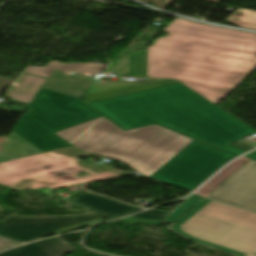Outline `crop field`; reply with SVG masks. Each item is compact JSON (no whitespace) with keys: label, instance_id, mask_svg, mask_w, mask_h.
Returning <instances> with one entry per match:
<instances>
[{"label":"crop field","instance_id":"8a807250","mask_svg":"<svg viewBox=\"0 0 256 256\" xmlns=\"http://www.w3.org/2000/svg\"><path fill=\"white\" fill-rule=\"evenodd\" d=\"M148 48V77L177 79L220 102L256 67V33L177 18Z\"/></svg>","mask_w":256,"mask_h":256},{"label":"crop field","instance_id":"ac0d7876","mask_svg":"<svg viewBox=\"0 0 256 256\" xmlns=\"http://www.w3.org/2000/svg\"><path fill=\"white\" fill-rule=\"evenodd\" d=\"M124 130L157 123L222 150L256 131L181 83L91 103Z\"/></svg>","mask_w":256,"mask_h":256},{"label":"crop field","instance_id":"34b2d1b8","mask_svg":"<svg viewBox=\"0 0 256 256\" xmlns=\"http://www.w3.org/2000/svg\"><path fill=\"white\" fill-rule=\"evenodd\" d=\"M190 141L157 125L125 132L105 118L73 146L125 161L149 177Z\"/></svg>","mask_w":256,"mask_h":256},{"label":"crop field","instance_id":"412701ff","mask_svg":"<svg viewBox=\"0 0 256 256\" xmlns=\"http://www.w3.org/2000/svg\"><path fill=\"white\" fill-rule=\"evenodd\" d=\"M198 244L237 256H256V213L202 200L169 227Z\"/></svg>","mask_w":256,"mask_h":256},{"label":"crop field","instance_id":"f4fd0767","mask_svg":"<svg viewBox=\"0 0 256 256\" xmlns=\"http://www.w3.org/2000/svg\"><path fill=\"white\" fill-rule=\"evenodd\" d=\"M28 147L4 144L0 149V184L12 188L49 187L58 189L102 178L118 176L111 172L96 174L77 165V159L52 152L43 153L12 131L10 134ZM81 170L93 175L78 178Z\"/></svg>","mask_w":256,"mask_h":256},{"label":"crop field","instance_id":"dd49c442","mask_svg":"<svg viewBox=\"0 0 256 256\" xmlns=\"http://www.w3.org/2000/svg\"><path fill=\"white\" fill-rule=\"evenodd\" d=\"M13 131L41 151L69 146L53 133L102 117L79 98L41 89Z\"/></svg>","mask_w":256,"mask_h":256},{"label":"crop field","instance_id":"e52e79f7","mask_svg":"<svg viewBox=\"0 0 256 256\" xmlns=\"http://www.w3.org/2000/svg\"><path fill=\"white\" fill-rule=\"evenodd\" d=\"M234 157L193 140L150 178L193 191Z\"/></svg>","mask_w":256,"mask_h":256},{"label":"crop field","instance_id":"d8731c3e","mask_svg":"<svg viewBox=\"0 0 256 256\" xmlns=\"http://www.w3.org/2000/svg\"><path fill=\"white\" fill-rule=\"evenodd\" d=\"M100 217L95 213L66 217H22L13 214L0 221V235L20 240L24 243L50 235L62 228L79 225Z\"/></svg>","mask_w":256,"mask_h":256},{"label":"crop field","instance_id":"5a996713","mask_svg":"<svg viewBox=\"0 0 256 256\" xmlns=\"http://www.w3.org/2000/svg\"><path fill=\"white\" fill-rule=\"evenodd\" d=\"M207 198L256 211V161L249 162Z\"/></svg>","mask_w":256,"mask_h":256},{"label":"crop field","instance_id":"3316defc","mask_svg":"<svg viewBox=\"0 0 256 256\" xmlns=\"http://www.w3.org/2000/svg\"><path fill=\"white\" fill-rule=\"evenodd\" d=\"M69 201L80 204L89 211L113 218L143 210L92 193L80 192Z\"/></svg>","mask_w":256,"mask_h":256},{"label":"crop field","instance_id":"28ad6ade","mask_svg":"<svg viewBox=\"0 0 256 256\" xmlns=\"http://www.w3.org/2000/svg\"><path fill=\"white\" fill-rule=\"evenodd\" d=\"M63 242L57 236L13 248L0 256H65L72 248Z\"/></svg>","mask_w":256,"mask_h":256},{"label":"crop field","instance_id":"d1516ede","mask_svg":"<svg viewBox=\"0 0 256 256\" xmlns=\"http://www.w3.org/2000/svg\"><path fill=\"white\" fill-rule=\"evenodd\" d=\"M106 72L114 75L147 76V49L131 52L121 59L115 60ZM105 72V73H106Z\"/></svg>","mask_w":256,"mask_h":256},{"label":"crop field","instance_id":"22f410ed","mask_svg":"<svg viewBox=\"0 0 256 256\" xmlns=\"http://www.w3.org/2000/svg\"><path fill=\"white\" fill-rule=\"evenodd\" d=\"M45 81V78L24 73L20 79L12 85L7 98L30 104Z\"/></svg>","mask_w":256,"mask_h":256},{"label":"crop field","instance_id":"cbeb9de0","mask_svg":"<svg viewBox=\"0 0 256 256\" xmlns=\"http://www.w3.org/2000/svg\"><path fill=\"white\" fill-rule=\"evenodd\" d=\"M106 65L93 64V63H72L64 64L61 62L51 61L45 67H30L26 73H30L36 76L48 78L54 69L66 70V71H78V72H92L101 73Z\"/></svg>","mask_w":256,"mask_h":256},{"label":"crop field","instance_id":"5142ce71","mask_svg":"<svg viewBox=\"0 0 256 256\" xmlns=\"http://www.w3.org/2000/svg\"><path fill=\"white\" fill-rule=\"evenodd\" d=\"M249 160L246 157H241L233 161L196 192L205 197Z\"/></svg>","mask_w":256,"mask_h":256},{"label":"crop field","instance_id":"d9b57169","mask_svg":"<svg viewBox=\"0 0 256 256\" xmlns=\"http://www.w3.org/2000/svg\"><path fill=\"white\" fill-rule=\"evenodd\" d=\"M48 81L88 91L92 83L94 82V79L81 75H78V77H76L72 75L67 76L52 72V74L48 78Z\"/></svg>","mask_w":256,"mask_h":256},{"label":"crop field","instance_id":"733c2abd","mask_svg":"<svg viewBox=\"0 0 256 256\" xmlns=\"http://www.w3.org/2000/svg\"><path fill=\"white\" fill-rule=\"evenodd\" d=\"M105 117L96 119L94 121L75 126L63 131L56 132L59 136L63 139L68 141L70 144H74L77 142L81 137H83L87 132H89L93 127H95L101 120Z\"/></svg>","mask_w":256,"mask_h":256},{"label":"crop field","instance_id":"4a817a6b","mask_svg":"<svg viewBox=\"0 0 256 256\" xmlns=\"http://www.w3.org/2000/svg\"><path fill=\"white\" fill-rule=\"evenodd\" d=\"M227 20L240 27L256 30V11L238 8Z\"/></svg>","mask_w":256,"mask_h":256},{"label":"crop field","instance_id":"bc2a9ffb","mask_svg":"<svg viewBox=\"0 0 256 256\" xmlns=\"http://www.w3.org/2000/svg\"><path fill=\"white\" fill-rule=\"evenodd\" d=\"M202 199H204V198H202L194 193L188 199H186L184 202H182L179 206H177L174 210H172L169 213V215L164 219L163 222L173 223L178 217H180L188 209H190L193 205L197 204Z\"/></svg>","mask_w":256,"mask_h":256},{"label":"crop field","instance_id":"214f88e0","mask_svg":"<svg viewBox=\"0 0 256 256\" xmlns=\"http://www.w3.org/2000/svg\"><path fill=\"white\" fill-rule=\"evenodd\" d=\"M168 211L156 210L151 209L141 214L130 216V218H137V219H144V220H151V221H158L162 222L163 219L168 215Z\"/></svg>","mask_w":256,"mask_h":256},{"label":"crop field","instance_id":"92a150f3","mask_svg":"<svg viewBox=\"0 0 256 256\" xmlns=\"http://www.w3.org/2000/svg\"><path fill=\"white\" fill-rule=\"evenodd\" d=\"M42 88L60 92V93H64V94H68V95H72V96H76V97H80V98H82L85 95V92L73 90L70 88L62 87V86L47 83V82L44 84V86Z\"/></svg>","mask_w":256,"mask_h":256},{"label":"crop field","instance_id":"dafd665d","mask_svg":"<svg viewBox=\"0 0 256 256\" xmlns=\"http://www.w3.org/2000/svg\"><path fill=\"white\" fill-rule=\"evenodd\" d=\"M51 151L59 153V154L67 155L70 157H74V158H80V157L92 155V154H87L85 152L79 151V150L73 148L72 146L55 149V150H51Z\"/></svg>","mask_w":256,"mask_h":256},{"label":"crop field","instance_id":"00972430","mask_svg":"<svg viewBox=\"0 0 256 256\" xmlns=\"http://www.w3.org/2000/svg\"><path fill=\"white\" fill-rule=\"evenodd\" d=\"M101 222H102V218H101V219L94 220V221H91V222H88V223H85V224H82V225H79V226H75V227H71V228L62 229V230H60V231H58V232H56V233H57V234H60V233L72 231V230H75V229H78V228H82V227H86V226L98 224V223H101Z\"/></svg>","mask_w":256,"mask_h":256},{"label":"crop field","instance_id":"a9b5d70f","mask_svg":"<svg viewBox=\"0 0 256 256\" xmlns=\"http://www.w3.org/2000/svg\"><path fill=\"white\" fill-rule=\"evenodd\" d=\"M18 244H22V243L0 237V250L6 249Z\"/></svg>","mask_w":256,"mask_h":256},{"label":"crop field","instance_id":"4177f3b9","mask_svg":"<svg viewBox=\"0 0 256 256\" xmlns=\"http://www.w3.org/2000/svg\"><path fill=\"white\" fill-rule=\"evenodd\" d=\"M119 221L127 222V223L134 224V225H137L139 223L148 224V225L160 224L158 222H151V221H144V220H137V219H130V218H125V219H122Z\"/></svg>","mask_w":256,"mask_h":256},{"label":"crop field","instance_id":"730fd06b","mask_svg":"<svg viewBox=\"0 0 256 256\" xmlns=\"http://www.w3.org/2000/svg\"><path fill=\"white\" fill-rule=\"evenodd\" d=\"M244 156L250 157V158H253V159L256 160V150L253 151V152H251V153H248V154H246V155H244Z\"/></svg>","mask_w":256,"mask_h":256},{"label":"crop field","instance_id":"eef30255","mask_svg":"<svg viewBox=\"0 0 256 256\" xmlns=\"http://www.w3.org/2000/svg\"><path fill=\"white\" fill-rule=\"evenodd\" d=\"M209 1H213V2H216L217 0H209Z\"/></svg>","mask_w":256,"mask_h":256}]
</instances>
